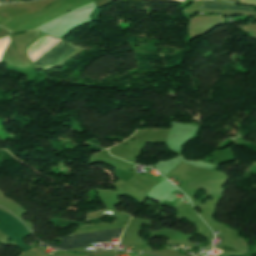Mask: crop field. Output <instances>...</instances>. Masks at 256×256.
Returning <instances> with one entry per match:
<instances>
[{
    "label": "crop field",
    "instance_id": "crop-field-1",
    "mask_svg": "<svg viewBox=\"0 0 256 256\" xmlns=\"http://www.w3.org/2000/svg\"><path fill=\"white\" fill-rule=\"evenodd\" d=\"M113 217L116 219V221L111 225H106L104 223L96 224V225H87L81 228L79 227L80 229H78L71 235L122 228L126 226L127 222L131 218L126 214H117V215H113ZM123 229L124 228L97 232V233L84 234V235H77V236L70 235L71 237L60 238L62 240V244L60 245H56L55 243H46V244L54 248H61V249L84 247L88 243L105 242V241L111 240V237H120ZM112 239H116V238H112Z\"/></svg>",
    "mask_w": 256,
    "mask_h": 256
},
{
    "label": "crop field",
    "instance_id": "crop-field-2",
    "mask_svg": "<svg viewBox=\"0 0 256 256\" xmlns=\"http://www.w3.org/2000/svg\"><path fill=\"white\" fill-rule=\"evenodd\" d=\"M0 230L9 236L24 252L31 249L23 242V238L29 235L27 228L17 219L2 211H0Z\"/></svg>",
    "mask_w": 256,
    "mask_h": 256
},
{
    "label": "crop field",
    "instance_id": "crop-field-3",
    "mask_svg": "<svg viewBox=\"0 0 256 256\" xmlns=\"http://www.w3.org/2000/svg\"><path fill=\"white\" fill-rule=\"evenodd\" d=\"M74 49L75 48L61 41L57 46H55L51 51H49L45 56H43L34 64L42 68L54 67L66 56H68Z\"/></svg>",
    "mask_w": 256,
    "mask_h": 256
},
{
    "label": "crop field",
    "instance_id": "crop-field-4",
    "mask_svg": "<svg viewBox=\"0 0 256 256\" xmlns=\"http://www.w3.org/2000/svg\"><path fill=\"white\" fill-rule=\"evenodd\" d=\"M200 8H216V9H244V10H255L248 7L242 6H231L223 3H218L214 1H204Z\"/></svg>",
    "mask_w": 256,
    "mask_h": 256
}]
</instances>
